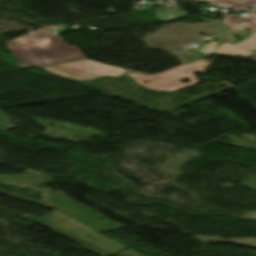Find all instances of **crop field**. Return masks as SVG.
Listing matches in <instances>:
<instances>
[{
    "mask_svg": "<svg viewBox=\"0 0 256 256\" xmlns=\"http://www.w3.org/2000/svg\"><path fill=\"white\" fill-rule=\"evenodd\" d=\"M250 12H251V15L248 17L224 15V17H226L227 19L223 23L241 27V28L256 30V9Z\"/></svg>",
    "mask_w": 256,
    "mask_h": 256,
    "instance_id": "412701ff",
    "label": "crop field"
},
{
    "mask_svg": "<svg viewBox=\"0 0 256 256\" xmlns=\"http://www.w3.org/2000/svg\"><path fill=\"white\" fill-rule=\"evenodd\" d=\"M41 69H44L52 74L78 80H91L104 75L119 76L126 72L124 69L103 65L89 60L60 64Z\"/></svg>",
    "mask_w": 256,
    "mask_h": 256,
    "instance_id": "34b2d1b8",
    "label": "crop field"
},
{
    "mask_svg": "<svg viewBox=\"0 0 256 256\" xmlns=\"http://www.w3.org/2000/svg\"><path fill=\"white\" fill-rule=\"evenodd\" d=\"M209 62L202 60L191 64H184L173 68L166 72L146 76L137 73L128 74L137 81L138 84L152 90L172 91L196 82H199L193 75L194 72H205ZM187 71L186 73H183ZM190 79L192 83L180 84V80ZM143 81H149L148 84H143Z\"/></svg>",
    "mask_w": 256,
    "mask_h": 256,
    "instance_id": "ac0d7876",
    "label": "crop field"
},
{
    "mask_svg": "<svg viewBox=\"0 0 256 256\" xmlns=\"http://www.w3.org/2000/svg\"><path fill=\"white\" fill-rule=\"evenodd\" d=\"M253 37L240 43V44H237L236 46L238 47H241L243 49H246V50H253L256 48V34H252Z\"/></svg>",
    "mask_w": 256,
    "mask_h": 256,
    "instance_id": "e52e79f7",
    "label": "crop field"
},
{
    "mask_svg": "<svg viewBox=\"0 0 256 256\" xmlns=\"http://www.w3.org/2000/svg\"><path fill=\"white\" fill-rule=\"evenodd\" d=\"M218 2H210V4L222 6L231 9L234 12L246 10L248 7L256 6V0H245V1H238V0H225L222 1L224 3Z\"/></svg>",
    "mask_w": 256,
    "mask_h": 256,
    "instance_id": "f4fd0767",
    "label": "crop field"
},
{
    "mask_svg": "<svg viewBox=\"0 0 256 256\" xmlns=\"http://www.w3.org/2000/svg\"><path fill=\"white\" fill-rule=\"evenodd\" d=\"M195 1H200V2H210V1H217V0H195Z\"/></svg>",
    "mask_w": 256,
    "mask_h": 256,
    "instance_id": "d8731c3e",
    "label": "crop field"
},
{
    "mask_svg": "<svg viewBox=\"0 0 256 256\" xmlns=\"http://www.w3.org/2000/svg\"><path fill=\"white\" fill-rule=\"evenodd\" d=\"M22 68L42 66L85 58L78 48L66 44L51 32L23 36L7 44Z\"/></svg>",
    "mask_w": 256,
    "mask_h": 256,
    "instance_id": "8a807250",
    "label": "crop field"
},
{
    "mask_svg": "<svg viewBox=\"0 0 256 256\" xmlns=\"http://www.w3.org/2000/svg\"><path fill=\"white\" fill-rule=\"evenodd\" d=\"M216 53L224 54L227 56H234V55H241V56H250L249 52L240 49L238 47H235L230 44H223L217 51Z\"/></svg>",
    "mask_w": 256,
    "mask_h": 256,
    "instance_id": "dd49c442",
    "label": "crop field"
}]
</instances>
